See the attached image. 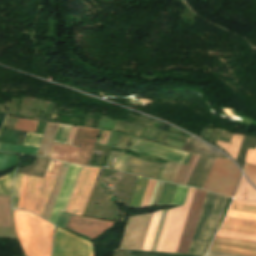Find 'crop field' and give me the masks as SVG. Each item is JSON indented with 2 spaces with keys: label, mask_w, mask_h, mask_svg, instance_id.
<instances>
[{
  "label": "crop field",
  "mask_w": 256,
  "mask_h": 256,
  "mask_svg": "<svg viewBox=\"0 0 256 256\" xmlns=\"http://www.w3.org/2000/svg\"><path fill=\"white\" fill-rule=\"evenodd\" d=\"M13 213L16 235L25 256H50L53 224L29 211Z\"/></svg>",
  "instance_id": "1"
},
{
  "label": "crop field",
  "mask_w": 256,
  "mask_h": 256,
  "mask_svg": "<svg viewBox=\"0 0 256 256\" xmlns=\"http://www.w3.org/2000/svg\"><path fill=\"white\" fill-rule=\"evenodd\" d=\"M226 199V197L207 193L188 253L205 254L217 230Z\"/></svg>",
  "instance_id": "2"
},
{
  "label": "crop field",
  "mask_w": 256,
  "mask_h": 256,
  "mask_svg": "<svg viewBox=\"0 0 256 256\" xmlns=\"http://www.w3.org/2000/svg\"><path fill=\"white\" fill-rule=\"evenodd\" d=\"M62 164L51 160L46 172L58 175ZM48 173L44 178L28 175L22 209H28L42 216L57 179L56 175Z\"/></svg>",
  "instance_id": "3"
},
{
  "label": "crop field",
  "mask_w": 256,
  "mask_h": 256,
  "mask_svg": "<svg viewBox=\"0 0 256 256\" xmlns=\"http://www.w3.org/2000/svg\"><path fill=\"white\" fill-rule=\"evenodd\" d=\"M240 175L230 160L216 158L201 188L232 197Z\"/></svg>",
  "instance_id": "4"
},
{
  "label": "crop field",
  "mask_w": 256,
  "mask_h": 256,
  "mask_svg": "<svg viewBox=\"0 0 256 256\" xmlns=\"http://www.w3.org/2000/svg\"><path fill=\"white\" fill-rule=\"evenodd\" d=\"M194 190L189 188L184 206L168 211L156 251H176Z\"/></svg>",
  "instance_id": "5"
},
{
  "label": "crop field",
  "mask_w": 256,
  "mask_h": 256,
  "mask_svg": "<svg viewBox=\"0 0 256 256\" xmlns=\"http://www.w3.org/2000/svg\"><path fill=\"white\" fill-rule=\"evenodd\" d=\"M100 169L91 167H82L68 203L65 212L82 215L93 188L94 182Z\"/></svg>",
  "instance_id": "6"
},
{
  "label": "crop field",
  "mask_w": 256,
  "mask_h": 256,
  "mask_svg": "<svg viewBox=\"0 0 256 256\" xmlns=\"http://www.w3.org/2000/svg\"><path fill=\"white\" fill-rule=\"evenodd\" d=\"M53 256H94L93 246L91 242L57 227Z\"/></svg>",
  "instance_id": "7"
},
{
  "label": "crop field",
  "mask_w": 256,
  "mask_h": 256,
  "mask_svg": "<svg viewBox=\"0 0 256 256\" xmlns=\"http://www.w3.org/2000/svg\"><path fill=\"white\" fill-rule=\"evenodd\" d=\"M205 191L195 190L189 213L176 252L187 253L206 196Z\"/></svg>",
  "instance_id": "8"
},
{
  "label": "crop field",
  "mask_w": 256,
  "mask_h": 256,
  "mask_svg": "<svg viewBox=\"0 0 256 256\" xmlns=\"http://www.w3.org/2000/svg\"><path fill=\"white\" fill-rule=\"evenodd\" d=\"M132 151L183 163L187 152L137 139Z\"/></svg>",
  "instance_id": "9"
},
{
  "label": "crop field",
  "mask_w": 256,
  "mask_h": 256,
  "mask_svg": "<svg viewBox=\"0 0 256 256\" xmlns=\"http://www.w3.org/2000/svg\"><path fill=\"white\" fill-rule=\"evenodd\" d=\"M112 225V222L71 215L66 227L94 239Z\"/></svg>",
  "instance_id": "10"
},
{
  "label": "crop field",
  "mask_w": 256,
  "mask_h": 256,
  "mask_svg": "<svg viewBox=\"0 0 256 256\" xmlns=\"http://www.w3.org/2000/svg\"><path fill=\"white\" fill-rule=\"evenodd\" d=\"M100 130L78 127L72 145L80 146L74 163L87 165Z\"/></svg>",
  "instance_id": "11"
},
{
  "label": "crop field",
  "mask_w": 256,
  "mask_h": 256,
  "mask_svg": "<svg viewBox=\"0 0 256 256\" xmlns=\"http://www.w3.org/2000/svg\"><path fill=\"white\" fill-rule=\"evenodd\" d=\"M165 165L128 156L122 171L159 180Z\"/></svg>",
  "instance_id": "12"
},
{
  "label": "crop field",
  "mask_w": 256,
  "mask_h": 256,
  "mask_svg": "<svg viewBox=\"0 0 256 256\" xmlns=\"http://www.w3.org/2000/svg\"><path fill=\"white\" fill-rule=\"evenodd\" d=\"M80 167L81 166L79 165H73V164L70 165L65 181L63 183L62 189L60 191L57 202L55 204L54 210L52 212L51 218L49 220L50 222L55 224L60 211L64 210Z\"/></svg>",
  "instance_id": "13"
},
{
  "label": "crop field",
  "mask_w": 256,
  "mask_h": 256,
  "mask_svg": "<svg viewBox=\"0 0 256 256\" xmlns=\"http://www.w3.org/2000/svg\"><path fill=\"white\" fill-rule=\"evenodd\" d=\"M208 250L244 256H256V248L212 242Z\"/></svg>",
  "instance_id": "14"
},
{
  "label": "crop field",
  "mask_w": 256,
  "mask_h": 256,
  "mask_svg": "<svg viewBox=\"0 0 256 256\" xmlns=\"http://www.w3.org/2000/svg\"><path fill=\"white\" fill-rule=\"evenodd\" d=\"M78 149L76 147L53 144L48 158L73 163Z\"/></svg>",
  "instance_id": "15"
},
{
  "label": "crop field",
  "mask_w": 256,
  "mask_h": 256,
  "mask_svg": "<svg viewBox=\"0 0 256 256\" xmlns=\"http://www.w3.org/2000/svg\"><path fill=\"white\" fill-rule=\"evenodd\" d=\"M69 165L70 164L64 163L63 166H62V169L60 171V174H59V177H58L57 182L55 184V187L53 189V192L50 196V199L48 201V204H47L46 209L44 211V214L42 216V218H44L46 220H49V218H50L51 212L53 210L54 204L56 202L57 196H58L59 191L61 189V186H62V183L64 181V178H65V175L67 173Z\"/></svg>",
  "instance_id": "16"
},
{
  "label": "crop field",
  "mask_w": 256,
  "mask_h": 256,
  "mask_svg": "<svg viewBox=\"0 0 256 256\" xmlns=\"http://www.w3.org/2000/svg\"><path fill=\"white\" fill-rule=\"evenodd\" d=\"M182 149H184L186 151L198 153V154L225 157L224 155H222L218 151L214 150L210 146L204 144L203 142H201L197 139H193V138H188Z\"/></svg>",
  "instance_id": "17"
},
{
  "label": "crop field",
  "mask_w": 256,
  "mask_h": 256,
  "mask_svg": "<svg viewBox=\"0 0 256 256\" xmlns=\"http://www.w3.org/2000/svg\"><path fill=\"white\" fill-rule=\"evenodd\" d=\"M58 124L47 123L37 155L47 157Z\"/></svg>",
  "instance_id": "18"
},
{
  "label": "crop field",
  "mask_w": 256,
  "mask_h": 256,
  "mask_svg": "<svg viewBox=\"0 0 256 256\" xmlns=\"http://www.w3.org/2000/svg\"><path fill=\"white\" fill-rule=\"evenodd\" d=\"M146 178H137V182L135 185V189H134V193L132 196V200L130 203V207L129 208H139L140 207V203L143 197V193L146 187V183H147Z\"/></svg>",
  "instance_id": "19"
},
{
  "label": "crop field",
  "mask_w": 256,
  "mask_h": 256,
  "mask_svg": "<svg viewBox=\"0 0 256 256\" xmlns=\"http://www.w3.org/2000/svg\"><path fill=\"white\" fill-rule=\"evenodd\" d=\"M235 197L256 201V190L248 184L244 176Z\"/></svg>",
  "instance_id": "20"
},
{
  "label": "crop field",
  "mask_w": 256,
  "mask_h": 256,
  "mask_svg": "<svg viewBox=\"0 0 256 256\" xmlns=\"http://www.w3.org/2000/svg\"><path fill=\"white\" fill-rule=\"evenodd\" d=\"M176 186L165 182L157 205L171 204Z\"/></svg>",
  "instance_id": "21"
},
{
  "label": "crop field",
  "mask_w": 256,
  "mask_h": 256,
  "mask_svg": "<svg viewBox=\"0 0 256 256\" xmlns=\"http://www.w3.org/2000/svg\"><path fill=\"white\" fill-rule=\"evenodd\" d=\"M242 137L243 136L233 135L230 141L231 143H233L232 147H231V144L220 142V141H218L217 144L222 148H224L230 154V156L236 159Z\"/></svg>",
  "instance_id": "22"
},
{
  "label": "crop field",
  "mask_w": 256,
  "mask_h": 256,
  "mask_svg": "<svg viewBox=\"0 0 256 256\" xmlns=\"http://www.w3.org/2000/svg\"><path fill=\"white\" fill-rule=\"evenodd\" d=\"M210 157L201 156L187 185L195 187Z\"/></svg>",
  "instance_id": "23"
},
{
  "label": "crop field",
  "mask_w": 256,
  "mask_h": 256,
  "mask_svg": "<svg viewBox=\"0 0 256 256\" xmlns=\"http://www.w3.org/2000/svg\"><path fill=\"white\" fill-rule=\"evenodd\" d=\"M217 235L256 241V234H250V233H243V232H236V231L220 229L219 232L217 233Z\"/></svg>",
  "instance_id": "24"
},
{
  "label": "crop field",
  "mask_w": 256,
  "mask_h": 256,
  "mask_svg": "<svg viewBox=\"0 0 256 256\" xmlns=\"http://www.w3.org/2000/svg\"><path fill=\"white\" fill-rule=\"evenodd\" d=\"M13 173L14 171L0 178V194L12 195Z\"/></svg>",
  "instance_id": "25"
},
{
  "label": "crop field",
  "mask_w": 256,
  "mask_h": 256,
  "mask_svg": "<svg viewBox=\"0 0 256 256\" xmlns=\"http://www.w3.org/2000/svg\"><path fill=\"white\" fill-rule=\"evenodd\" d=\"M162 211V210H161ZM161 211L155 212L143 250L149 251L160 218Z\"/></svg>",
  "instance_id": "26"
},
{
  "label": "crop field",
  "mask_w": 256,
  "mask_h": 256,
  "mask_svg": "<svg viewBox=\"0 0 256 256\" xmlns=\"http://www.w3.org/2000/svg\"><path fill=\"white\" fill-rule=\"evenodd\" d=\"M181 164L169 161L160 180L172 182Z\"/></svg>",
  "instance_id": "27"
},
{
  "label": "crop field",
  "mask_w": 256,
  "mask_h": 256,
  "mask_svg": "<svg viewBox=\"0 0 256 256\" xmlns=\"http://www.w3.org/2000/svg\"><path fill=\"white\" fill-rule=\"evenodd\" d=\"M71 127L69 125L59 124L53 142L65 144Z\"/></svg>",
  "instance_id": "28"
},
{
  "label": "crop field",
  "mask_w": 256,
  "mask_h": 256,
  "mask_svg": "<svg viewBox=\"0 0 256 256\" xmlns=\"http://www.w3.org/2000/svg\"><path fill=\"white\" fill-rule=\"evenodd\" d=\"M38 148L34 147H26V146H18V145H10V144H2L0 143V150H9V151H17V152H24L35 154L37 153Z\"/></svg>",
  "instance_id": "29"
},
{
  "label": "crop field",
  "mask_w": 256,
  "mask_h": 256,
  "mask_svg": "<svg viewBox=\"0 0 256 256\" xmlns=\"http://www.w3.org/2000/svg\"><path fill=\"white\" fill-rule=\"evenodd\" d=\"M37 122L35 120L19 119L14 129L34 132Z\"/></svg>",
  "instance_id": "30"
},
{
  "label": "crop field",
  "mask_w": 256,
  "mask_h": 256,
  "mask_svg": "<svg viewBox=\"0 0 256 256\" xmlns=\"http://www.w3.org/2000/svg\"><path fill=\"white\" fill-rule=\"evenodd\" d=\"M214 241L256 247V242L216 236Z\"/></svg>",
  "instance_id": "31"
},
{
  "label": "crop field",
  "mask_w": 256,
  "mask_h": 256,
  "mask_svg": "<svg viewBox=\"0 0 256 256\" xmlns=\"http://www.w3.org/2000/svg\"><path fill=\"white\" fill-rule=\"evenodd\" d=\"M168 210H163L150 251H155Z\"/></svg>",
  "instance_id": "32"
},
{
  "label": "crop field",
  "mask_w": 256,
  "mask_h": 256,
  "mask_svg": "<svg viewBox=\"0 0 256 256\" xmlns=\"http://www.w3.org/2000/svg\"><path fill=\"white\" fill-rule=\"evenodd\" d=\"M42 135L26 133L23 145L39 147Z\"/></svg>",
  "instance_id": "33"
},
{
  "label": "crop field",
  "mask_w": 256,
  "mask_h": 256,
  "mask_svg": "<svg viewBox=\"0 0 256 256\" xmlns=\"http://www.w3.org/2000/svg\"><path fill=\"white\" fill-rule=\"evenodd\" d=\"M194 156L195 155L192 154V156H191L187 165H181V167H180V169H179V171H178V173H177V175H176V177L173 181L174 183H178V184L182 183V181H183V179H184V177H185V175H186V173H187V171H188V169L191 165V162H192Z\"/></svg>",
  "instance_id": "34"
},
{
  "label": "crop field",
  "mask_w": 256,
  "mask_h": 256,
  "mask_svg": "<svg viewBox=\"0 0 256 256\" xmlns=\"http://www.w3.org/2000/svg\"><path fill=\"white\" fill-rule=\"evenodd\" d=\"M224 222L256 227L255 220L242 219V218H236V217H230V216H227Z\"/></svg>",
  "instance_id": "35"
},
{
  "label": "crop field",
  "mask_w": 256,
  "mask_h": 256,
  "mask_svg": "<svg viewBox=\"0 0 256 256\" xmlns=\"http://www.w3.org/2000/svg\"><path fill=\"white\" fill-rule=\"evenodd\" d=\"M155 182L156 181H153V180H150V179L148 180V184H147L145 194H144V197H143L142 204H141L140 208H144V207L148 206V203H149V200H150Z\"/></svg>",
  "instance_id": "36"
},
{
  "label": "crop field",
  "mask_w": 256,
  "mask_h": 256,
  "mask_svg": "<svg viewBox=\"0 0 256 256\" xmlns=\"http://www.w3.org/2000/svg\"><path fill=\"white\" fill-rule=\"evenodd\" d=\"M128 256H196V255H181V254L128 251Z\"/></svg>",
  "instance_id": "37"
},
{
  "label": "crop field",
  "mask_w": 256,
  "mask_h": 256,
  "mask_svg": "<svg viewBox=\"0 0 256 256\" xmlns=\"http://www.w3.org/2000/svg\"><path fill=\"white\" fill-rule=\"evenodd\" d=\"M221 228H223V229H230V230H236V231L256 233V228H254V227H247V226H240V225H233V224L223 223Z\"/></svg>",
  "instance_id": "38"
},
{
  "label": "crop field",
  "mask_w": 256,
  "mask_h": 256,
  "mask_svg": "<svg viewBox=\"0 0 256 256\" xmlns=\"http://www.w3.org/2000/svg\"><path fill=\"white\" fill-rule=\"evenodd\" d=\"M22 175L15 174L13 208L17 209Z\"/></svg>",
  "instance_id": "39"
},
{
  "label": "crop field",
  "mask_w": 256,
  "mask_h": 256,
  "mask_svg": "<svg viewBox=\"0 0 256 256\" xmlns=\"http://www.w3.org/2000/svg\"><path fill=\"white\" fill-rule=\"evenodd\" d=\"M188 188L178 186L172 204L182 205Z\"/></svg>",
  "instance_id": "40"
},
{
  "label": "crop field",
  "mask_w": 256,
  "mask_h": 256,
  "mask_svg": "<svg viewBox=\"0 0 256 256\" xmlns=\"http://www.w3.org/2000/svg\"><path fill=\"white\" fill-rule=\"evenodd\" d=\"M230 209L238 210V211H245V212L256 213V207L255 206H248V205L232 203Z\"/></svg>",
  "instance_id": "41"
},
{
  "label": "crop field",
  "mask_w": 256,
  "mask_h": 256,
  "mask_svg": "<svg viewBox=\"0 0 256 256\" xmlns=\"http://www.w3.org/2000/svg\"><path fill=\"white\" fill-rule=\"evenodd\" d=\"M0 238L17 239L13 227H0Z\"/></svg>",
  "instance_id": "42"
},
{
  "label": "crop field",
  "mask_w": 256,
  "mask_h": 256,
  "mask_svg": "<svg viewBox=\"0 0 256 256\" xmlns=\"http://www.w3.org/2000/svg\"><path fill=\"white\" fill-rule=\"evenodd\" d=\"M244 172L249 179L256 185V166L245 165Z\"/></svg>",
  "instance_id": "43"
},
{
  "label": "crop field",
  "mask_w": 256,
  "mask_h": 256,
  "mask_svg": "<svg viewBox=\"0 0 256 256\" xmlns=\"http://www.w3.org/2000/svg\"><path fill=\"white\" fill-rule=\"evenodd\" d=\"M227 215L236 216V217H243V218H249V219H255L256 220V214H251V213H245V212H238V211L229 210Z\"/></svg>",
  "instance_id": "44"
},
{
  "label": "crop field",
  "mask_w": 256,
  "mask_h": 256,
  "mask_svg": "<svg viewBox=\"0 0 256 256\" xmlns=\"http://www.w3.org/2000/svg\"><path fill=\"white\" fill-rule=\"evenodd\" d=\"M214 159L215 158H213V157L210 158V160H209V162H208V164H207V166H206V168H205V170H204V172H203V174H202V176H201V178H200V180H199V182H198L196 187H198V188L201 187V185H202V183H203V181H204V179H205V177H206V175H207V173H208V171H209V169H210Z\"/></svg>",
  "instance_id": "45"
},
{
  "label": "crop field",
  "mask_w": 256,
  "mask_h": 256,
  "mask_svg": "<svg viewBox=\"0 0 256 256\" xmlns=\"http://www.w3.org/2000/svg\"><path fill=\"white\" fill-rule=\"evenodd\" d=\"M245 162L256 164V149L248 148Z\"/></svg>",
  "instance_id": "46"
},
{
  "label": "crop field",
  "mask_w": 256,
  "mask_h": 256,
  "mask_svg": "<svg viewBox=\"0 0 256 256\" xmlns=\"http://www.w3.org/2000/svg\"><path fill=\"white\" fill-rule=\"evenodd\" d=\"M126 158H127V155L120 153L113 168L121 170Z\"/></svg>",
  "instance_id": "47"
},
{
  "label": "crop field",
  "mask_w": 256,
  "mask_h": 256,
  "mask_svg": "<svg viewBox=\"0 0 256 256\" xmlns=\"http://www.w3.org/2000/svg\"><path fill=\"white\" fill-rule=\"evenodd\" d=\"M26 177H27V175H23V178H22V185H21V192H20V199H19L18 209H21V207H22V201H23Z\"/></svg>",
  "instance_id": "48"
},
{
  "label": "crop field",
  "mask_w": 256,
  "mask_h": 256,
  "mask_svg": "<svg viewBox=\"0 0 256 256\" xmlns=\"http://www.w3.org/2000/svg\"><path fill=\"white\" fill-rule=\"evenodd\" d=\"M70 214L61 212L57 221V225L63 227Z\"/></svg>",
  "instance_id": "49"
},
{
  "label": "crop field",
  "mask_w": 256,
  "mask_h": 256,
  "mask_svg": "<svg viewBox=\"0 0 256 256\" xmlns=\"http://www.w3.org/2000/svg\"><path fill=\"white\" fill-rule=\"evenodd\" d=\"M77 126H73L66 144L71 145Z\"/></svg>",
  "instance_id": "50"
},
{
  "label": "crop field",
  "mask_w": 256,
  "mask_h": 256,
  "mask_svg": "<svg viewBox=\"0 0 256 256\" xmlns=\"http://www.w3.org/2000/svg\"><path fill=\"white\" fill-rule=\"evenodd\" d=\"M230 137H231V134L223 131L222 134L219 137V140H223V141H227L228 142Z\"/></svg>",
  "instance_id": "51"
},
{
  "label": "crop field",
  "mask_w": 256,
  "mask_h": 256,
  "mask_svg": "<svg viewBox=\"0 0 256 256\" xmlns=\"http://www.w3.org/2000/svg\"><path fill=\"white\" fill-rule=\"evenodd\" d=\"M109 133H110V132L104 131L98 143L105 145V144H106V141H107V138H108V136H109ZM104 134H105V137H104V139L102 140Z\"/></svg>",
  "instance_id": "52"
},
{
  "label": "crop field",
  "mask_w": 256,
  "mask_h": 256,
  "mask_svg": "<svg viewBox=\"0 0 256 256\" xmlns=\"http://www.w3.org/2000/svg\"><path fill=\"white\" fill-rule=\"evenodd\" d=\"M158 183L159 182L157 181L148 207L152 206L153 199H154V196H155V193H156V190H157Z\"/></svg>",
  "instance_id": "53"
},
{
  "label": "crop field",
  "mask_w": 256,
  "mask_h": 256,
  "mask_svg": "<svg viewBox=\"0 0 256 256\" xmlns=\"http://www.w3.org/2000/svg\"><path fill=\"white\" fill-rule=\"evenodd\" d=\"M233 202H235V203H242V204H248V205H255L256 206V203H254V202H246V201H238V200H233Z\"/></svg>",
  "instance_id": "54"
},
{
  "label": "crop field",
  "mask_w": 256,
  "mask_h": 256,
  "mask_svg": "<svg viewBox=\"0 0 256 256\" xmlns=\"http://www.w3.org/2000/svg\"><path fill=\"white\" fill-rule=\"evenodd\" d=\"M216 132H217V130H216V129H214V131H213V133H212V135H211V137H210V139H209V142H211V140H212V139H213V137L215 136Z\"/></svg>",
  "instance_id": "55"
},
{
  "label": "crop field",
  "mask_w": 256,
  "mask_h": 256,
  "mask_svg": "<svg viewBox=\"0 0 256 256\" xmlns=\"http://www.w3.org/2000/svg\"><path fill=\"white\" fill-rule=\"evenodd\" d=\"M146 129H147V128L144 127V129H143V131H142V134H141L142 137L144 136Z\"/></svg>",
  "instance_id": "56"
},
{
  "label": "crop field",
  "mask_w": 256,
  "mask_h": 256,
  "mask_svg": "<svg viewBox=\"0 0 256 256\" xmlns=\"http://www.w3.org/2000/svg\"><path fill=\"white\" fill-rule=\"evenodd\" d=\"M142 128H143V127H140V129H139V131H138V133H137V135H136V136H138V137H139V135H140V133H141Z\"/></svg>",
  "instance_id": "57"
},
{
  "label": "crop field",
  "mask_w": 256,
  "mask_h": 256,
  "mask_svg": "<svg viewBox=\"0 0 256 256\" xmlns=\"http://www.w3.org/2000/svg\"><path fill=\"white\" fill-rule=\"evenodd\" d=\"M55 117H56V115H55V114H53L51 119H52V120H54V119H55Z\"/></svg>",
  "instance_id": "58"
},
{
  "label": "crop field",
  "mask_w": 256,
  "mask_h": 256,
  "mask_svg": "<svg viewBox=\"0 0 256 256\" xmlns=\"http://www.w3.org/2000/svg\"><path fill=\"white\" fill-rule=\"evenodd\" d=\"M211 132H212V130H211ZM211 132H210V134H209V136H208V138H207V139H209V137H210V135H211Z\"/></svg>",
  "instance_id": "59"
},
{
  "label": "crop field",
  "mask_w": 256,
  "mask_h": 256,
  "mask_svg": "<svg viewBox=\"0 0 256 256\" xmlns=\"http://www.w3.org/2000/svg\"><path fill=\"white\" fill-rule=\"evenodd\" d=\"M209 132H210V130H209ZM209 132H208V134H209ZM208 134H207V136H208ZM207 138V137H206Z\"/></svg>",
  "instance_id": "60"
}]
</instances>
